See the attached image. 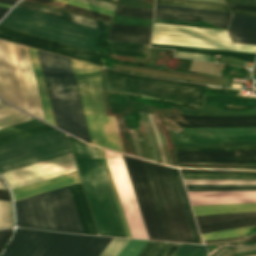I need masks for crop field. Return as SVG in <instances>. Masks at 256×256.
<instances>
[{"label":"crop field","mask_w":256,"mask_h":256,"mask_svg":"<svg viewBox=\"0 0 256 256\" xmlns=\"http://www.w3.org/2000/svg\"><path fill=\"white\" fill-rule=\"evenodd\" d=\"M69 140L100 235L126 237L98 149Z\"/></svg>","instance_id":"crop-field-1"},{"label":"crop field","mask_w":256,"mask_h":256,"mask_svg":"<svg viewBox=\"0 0 256 256\" xmlns=\"http://www.w3.org/2000/svg\"><path fill=\"white\" fill-rule=\"evenodd\" d=\"M38 52L57 126L90 142L69 59Z\"/></svg>","instance_id":"crop-field-2"},{"label":"crop field","mask_w":256,"mask_h":256,"mask_svg":"<svg viewBox=\"0 0 256 256\" xmlns=\"http://www.w3.org/2000/svg\"><path fill=\"white\" fill-rule=\"evenodd\" d=\"M152 41L256 53V46L232 43L227 30L222 29L196 28L154 23ZM155 42H151V46L172 48L181 52L210 56H214L215 54H224L252 63L254 62L256 55L252 53Z\"/></svg>","instance_id":"crop-field-3"},{"label":"crop field","mask_w":256,"mask_h":256,"mask_svg":"<svg viewBox=\"0 0 256 256\" xmlns=\"http://www.w3.org/2000/svg\"><path fill=\"white\" fill-rule=\"evenodd\" d=\"M111 239L17 228L3 256H99Z\"/></svg>","instance_id":"crop-field-4"},{"label":"crop field","mask_w":256,"mask_h":256,"mask_svg":"<svg viewBox=\"0 0 256 256\" xmlns=\"http://www.w3.org/2000/svg\"><path fill=\"white\" fill-rule=\"evenodd\" d=\"M15 205L18 226L84 233L68 186Z\"/></svg>","instance_id":"crop-field-5"},{"label":"crop field","mask_w":256,"mask_h":256,"mask_svg":"<svg viewBox=\"0 0 256 256\" xmlns=\"http://www.w3.org/2000/svg\"><path fill=\"white\" fill-rule=\"evenodd\" d=\"M71 64L91 142L123 151L115 117L105 116L99 67L75 60Z\"/></svg>","instance_id":"crop-field-6"},{"label":"crop field","mask_w":256,"mask_h":256,"mask_svg":"<svg viewBox=\"0 0 256 256\" xmlns=\"http://www.w3.org/2000/svg\"><path fill=\"white\" fill-rule=\"evenodd\" d=\"M0 26L97 52V36L106 31L15 7Z\"/></svg>","instance_id":"crop-field-7"},{"label":"crop field","mask_w":256,"mask_h":256,"mask_svg":"<svg viewBox=\"0 0 256 256\" xmlns=\"http://www.w3.org/2000/svg\"><path fill=\"white\" fill-rule=\"evenodd\" d=\"M107 92L128 94L172 103L203 106L206 86L187 82L140 77L106 68Z\"/></svg>","instance_id":"crop-field-8"},{"label":"crop field","mask_w":256,"mask_h":256,"mask_svg":"<svg viewBox=\"0 0 256 256\" xmlns=\"http://www.w3.org/2000/svg\"><path fill=\"white\" fill-rule=\"evenodd\" d=\"M143 164L167 240L195 243L172 169L147 161Z\"/></svg>","instance_id":"crop-field-9"},{"label":"crop field","mask_w":256,"mask_h":256,"mask_svg":"<svg viewBox=\"0 0 256 256\" xmlns=\"http://www.w3.org/2000/svg\"><path fill=\"white\" fill-rule=\"evenodd\" d=\"M70 152L65 134L57 130L6 144L0 146V173Z\"/></svg>","instance_id":"crop-field-10"},{"label":"crop field","mask_w":256,"mask_h":256,"mask_svg":"<svg viewBox=\"0 0 256 256\" xmlns=\"http://www.w3.org/2000/svg\"><path fill=\"white\" fill-rule=\"evenodd\" d=\"M123 156V155H122ZM150 239L167 241L142 161L123 156Z\"/></svg>","instance_id":"crop-field-11"},{"label":"crop field","mask_w":256,"mask_h":256,"mask_svg":"<svg viewBox=\"0 0 256 256\" xmlns=\"http://www.w3.org/2000/svg\"><path fill=\"white\" fill-rule=\"evenodd\" d=\"M105 154L129 226L131 236L135 238L149 239L122 156L117 153H112L108 151H105Z\"/></svg>","instance_id":"crop-field-12"},{"label":"crop field","mask_w":256,"mask_h":256,"mask_svg":"<svg viewBox=\"0 0 256 256\" xmlns=\"http://www.w3.org/2000/svg\"><path fill=\"white\" fill-rule=\"evenodd\" d=\"M76 170L72 154L70 153L2 173L1 175L10 188L13 189Z\"/></svg>","instance_id":"crop-field-13"},{"label":"crop field","mask_w":256,"mask_h":256,"mask_svg":"<svg viewBox=\"0 0 256 256\" xmlns=\"http://www.w3.org/2000/svg\"><path fill=\"white\" fill-rule=\"evenodd\" d=\"M9 48L26 111L44 120L27 48L9 43ZM45 121V120H44Z\"/></svg>","instance_id":"crop-field-14"},{"label":"crop field","mask_w":256,"mask_h":256,"mask_svg":"<svg viewBox=\"0 0 256 256\" xmlns=\"http://www.w3.org/2000/svg\"><path fill=\"white\" fill-rule=\"evenodd\" d=\"M0 38L103 66L97 53L0 27ZM104 67V66H103Z\"/></svg>","instance_id":"crop-field-15"},{"label":"crop field","mask_w":256,"mask_h":256,"mask_svg":"<svg viewBox=\"0 0 256 256\" xmlns=\"http://www.w3.org/2000/svg\"><path fill=\"white\" fill-rule=\"evenodd\" d=\"M167 127H249L256 126V116L210 117L163 114Z\"/></svg>","instance_id":"crop-field-16"},{"label":"crop field","mask_w":256,"mask_h":256,"mask_svg":"<svg viewBox=\"0 0 256 256\" xmlns=\"http://www.w3.org/2000/svg\"><path fill=\"white\" fill-rule=\"evenodd\" d=\"M0 96L7 102L23 108L8 44L0 40Z\"/></svg>","instance_id":"crop-field-17"},{"label":"crop field","mask_w":256,"mask_h":256,"mask_svg":"<svg viewBox=\"0 0 256 256\" xmlns=\"http://www.w3.org/2000/svg\"><path fill=\"white\" fill-rule=\"evenodd\" d=\"M195 218L201 233L256 224V212Z\"/></svg>","instance_id":"crop-field-18"},{"label":"crop field","mask_w":256,"mask_h":256,"mask_svg":"<svg viewBox=\"0 0 256 256\" xmlns=\"http://www.w3.org/2000/svg\"><path fill=\"white\" fill-rule=\"evenodd\" d=\"M177 161H199V162H256V158L235 159L223 158L222 156H256V150L246 151H216V150H203V151H183L176 152Z\"/></svg>","instance_id":"crop-field-19"},{"label":"crop field","mask_w":256,"mask_h":256,"mask_svg":"<svg viewBox=\"0 0 256 256\" xmlns=\"http://www.w3.org/2000/svg\"><path fill=\"white\" fill-rule=\"evenodd\" d=\"M187 193L192 205L256 202V191Z\"/></svg>","instance_id":"crop-field-20"},{"label":"crop field","mask_w":256,"mask_h":256,"mask_svg":"<svg viewBox=\"0 0 256 256\" xmlns=\"http://www.w3.org/2000/svg\"><path fill=\"white\" fill-rule=\"evenodd\" d=\"M78 181H80V179L78 172L76 171L55 178H51L45 181L13 189L12 192L15 200H17Z\"/></svg>","instance_id":"crop-field-21"},{"label":"crop field","mask_w":256,"mask_h":256,"mask_svg":"<svg viewBox=\"0 0 256 256\" xmlns=\"http://www.w3.org/2000/svg\"><path fill=\"white\" fill-rule=\"evenodd\" d=\"M54 128L34 119L0 130V145L40 134Z\"/></svg>","instance_id":"crop-field-22"},{"label":"crop field","mask_w":256,"mask_h":256,"mask_svg":"<svg viewBox=\"0 0 256 256\" xmlns=\"http://www.w3.org/2000/svg\"><path fill=\"white\" fill-rule=\"evenodd\" d=\"M17 7L25 8V9H28V10L36 11V12H39V13L47 14V15H50V16L58 17V18H62V19H65V20L73 21V22H76V23L84 24V25H87V26L95 27V28H98V29L106 30V31H107L108 26H109L108 23L93 20V19H90V18L75 15V14H72V13H68V12H65V11L50 8V7H47V6H43V5H40V4L25 1V0H23L21 3H19L17 5Z\"/></svg>","instance_id":"crop-field-23"},{"label":"crop field","mask_w":256,"mask_h":256,"mask_svg":"<svg viewBox=\"0 0 256 256\" xmlns=\"http://www.w3.org/2000/svg\"><path fill=\"white\" fill-rule=\"evenodd\" d=\"M28 52H29L45 120L53 125H56L50 100H49V96H48V92H47V88H46V84H45V80H44V76H43V72H42V68H41V64H40V60H39V56H38V52L36 49H32V48H28Z\"/></svg>","instance_id":"crop-field-24"},{"label":"crop field","mask_w":256,"mask_h":256,"mask_svg":"<svg viewBox=\"0 0 256 256\" xmlns=\"http://www.w3.org/2000/svg\"><path fill=\"white\" fill-rule=\"evenodd\" d=\"M151 28L111 24L112 41L149 44Z\"/></svg>","instance_id":"crop-field-25"},{"label":"crop field","mask_w":256,"mask_h":256,"mask_svg":"<svg viewBox=\"0 0 256 256\" xmlns=\"http://www.w3.org/2000/svg\"><path fill=\"white\" fill-rule=\"evenodd\" d=\"M70 190L85 233L98 235L81 183L70 185Z\"/></svg>","instance_id":"crop-field-26"},{"label":"crop field","mask_w":256,"mask_h":256,"mask_svg":"<svg viewBox=\"0 0 256 256\" xmlns=\"http://www.w3.org/2000/svg\"><path fill=\"white\" fill-rule=\"evenodd\" d=\"M155 16H174V17L202 19L215 26L224 27V28L227 27L228 20L230 17L226 15H216V14L197 13V12L178 11V10L159 9V8H155L154 17ZM183 20H190V19H183ZM192 21H196V20H192Z\"/></svg>","instance_id":"crop-field-27"},{"label":"crop field","mask_w":256,"mask_h":256,"mask_svg":"<svg viewBox=\"0 0 256 256\" xmlns=\"http://www.w3.org/2000/svg\"><path fill=\"white\" fill-rule=\"evenodd\" d=\"M192 207H193L195 216L256 211V203L204 205V206H192Z\"/></svg>","instance_id":"crop-field-28"},{"label":"crop field","mask_w":256,"mask_h":256,"mask_svg":"<svg viewBox=\"0 0 256 256\" xmlns=\"http://www.w3.org/2000/svg\"><path fill=\"white\" fill-rule=\"evenodd\" d=\"M168 130H209V131H174L173 133H215V134H176V136H198V135H211V136H222V135H242V134H256V127L249 128H174Z\"/></svg>","instance_id":"crop-field-29"},{"label":"crop field","mask_w":256,"mask_h":256,"mask_svg":"<svg viewBox=\"0 0 256 256\" xmlns=\"http://www.w3.org/2000/svg\"><path fill=\"white\" fill-rule=\"evenodd\" d=\"M149 45L108 41L109 53L146 57Z\"/></svg>","instance_id":"crop-field-30"},{"label":"crop field","mask_w":256,"mask_h":256,"mask_svg":"<svg viewBox=\"0 0 256 256\" xmlns=\"http://www.w3.org/2000/svg\"><path fill=\"white\" fill-rule=\"evenodd\" d=\"M183 179H256L251 173L181 172Z\"/></svg>","instance_id":"crop-field-31"},{"label":"crop field","mask_w":256,"mask_h":256,"mask_svg":"<svg viewBox=\"0 0 256 256\" xmlns=\"http://www.w3.org/2000/svg\"><path fill=\"white\" fill-rule=\"evenodd\" d=\"M30 119L33 118L8 105L2 104L0 101V128L7 127Z\"/></svg>","instance_id":"crop-field-32"},{"label":"crop field","mask_w":256,"mask_h":256,"mask_svg":"<svg viewBox=\"0 0 256 256\" xmlns=\"http://www.w3.org/2000/svg\"><path fill=\"white\" fill-rule=\"evenodd\" d=\"M187 191L256 190V185H185Z\"/></svg>","instance_id":"crop-field-33"},{"label":"crop field","mask_w":256,"mask_h":256,"mask_svg":"<svg viewBox=\"0 0 256 256\" xmlns=\"http://www.w3.org/2000/svg\"><path fill=\"white\" fill-rule=\"evenodd\" d=\"M174 143L179 142H222L231 140H252L256 135L224 136V137H179L172 138Z\"/></svg>","instance_id":"crop-field-34"},{"label":"crop field","mask_w":256,"mask_h":256,"mask_svg":"<svg viewBox=\"0 0 256 256\" xmlns=\"http://www.w3.org/2000/svg\"><path fill=\"white\" fill-rule=\"evenodd\" d=\"M228 30L234 42L256 44V29L229 27Z\"/></svg>","instance_id":"crop-field-35"},{"label":"crop field","mask_w":256,"mask_h":256,"mask_svg":"<svg viewBox=\"0 0 256 256\" xmlns=\"http://www.w3.org/2000/svg\"><path fill=\"white\" fill-rule=\"evenodd\" d=\"M255 227H256V225L255 226H250V227H245V228H239V229L204 233V234H201V235H202L204 240L230 238V237H236V236H242V235L248 234Z\"/></svg>","instance_id":"crop-field-36"},{"label":"crop field","mask_w":256,"mask_h":256,"mask_svg":"<svg viewBox=\"0 0 256 256\" xmlns=\"http://www.w3.org/2000/svg\"><path fill=\"white\" fill-rule=\"evenodd\" d=\"M172 169H173V172H174V175H175V179H176V182H177L180 194H181V198H182V201H183L186 213H187V217H188V220H189L192 232H193V236H194L195 242L196 243H202V241H201V239H200V237H199V235L197 233V230H196V227H195L196 223L194 224L195 220L193 221V217H192V214H191V211H190V208H189V205H188V202H187L184 190H183L184 186L182 187V183H181L178 171H177V169H174V168H172Z\"/></svg>","instance_id":"crop-field-37"},{"label":"crop field","mask_w":256,"mask_h":256,"mask_svg":"<svg viewBox=\"0 0 256 256\" xmlns=\"http://www.w3.org/2000/svg\"><path fill=\"white\" fill-rule=\"evenodd\" d=\"M114 14L152 19L153 9L135 8L118 5Z\"/></svg>","instance_id":"crop-field-38"},{"label":"crop field","mask_w":256,"mask_h":256,"mask_svg":"<svg viewBox=\"0 0 256 256\" xmlns=\"http://www.w3.org/2000/svg\"><path fill=\"white\" fill-rule=\"evenodd\" d=\"M99 152H100V155H101V158H102V161H103V165H104V168H105V171H106V174H107V177H108V180H109L112 192H113V196H114V199H115V202H116V205H117V208H118L121 220H122V224H123L126 236L127 237H131L130 233H129V230H128V227H127V224H126V221H125V218H124V215H123V212H122V209H121V206H120V203H119V200H118V197H117V194H116V190H115V187H114V184H113V181H112V178H111V175H110V172H109V169H108V166H107V163H106V160H105V157H104L102 149H99Z\"/></svg>","instance_id":"crop-field-39"},{"label":"crop field","mask_w":256,"mask_h":256,"mask_svg":"<svg viewBox=\"0 0 256 256\" xmlns=\"http://www.w3.org/2000/svg\"><path fill=\"white\" fill-rule=\"evenodd\" d=\"M172 256H206L204 246L181 244Z\"/></svg>","instance_id":"crop-field-40"},{"label":"crop field","mask_w":256,"mask_h":256,"mask_svg":"<svg viewBox=\"0 0 256 256\" xmlns=\"http://www.w3.org/2000/svg\"><path fill=\"white\" fill-rule=\"evenodd\" d=\"M35 1L50 4V5H53V6L61 7V8H64V9L72 10V11H75V12L83 13V14H86V15L98 17V18H101V19L109 20V21L112 18L111 16H107V15L92 12V11H89V10L81 9V8H78V7L66 5V4L55 2V1H52V0H35Z\"/></svg>","instance_id":"crop-field-41"},{"label":"crop field","mask_w":256,"mask_h":256,"mask_svg":"<svg viewBox=\"0 0 256 256\" xmlns=\"http://www.w3.org/2000/svg\"><path fill=\"white\" fill-rule=\"evenodd\" d=\"M147 242L145 240L130 239L117 256H137Z\"/></svg>","instance_id":"crop-field-42"},{"label":"crop field","mask_w":256,"mask_h":256,"mask_svg":"<svg viewBox=\"0 0 256 256\" xmlns=\"http://www.w3.org/2000/svg\"><path fill=\"white\" fill-rule=\"evenodd\" d=\"M13 225L11 202L0 201V229Z\"/></svg>","instance_id":"crop-field-43"},{"label":"crop field","mask_w":256,"mask_h":256,"mask_svg":"<svg viewBox=\"0 0 256 256\" xmlns=\"http://www.w3.org/2000/svg\"><path fill=\"white\" fill-rule=\"evenodd\" d=\"M229 26L256 28V17L233 14Z\"/></svg>","instance_id":"crop-field-44"},{"label":"crop field","mask_w":256,"mask_h":256,"mask_svg":"<svg viewBox=\"0 0 256 256\" xmlns=\"http://www.w3.org/2000/svg\"><path fill=\"white\" fill-rule=\"evenodd\" d=\"M129 239L113 238L100 256H116Z\"/></svg>","instance_id":"crop-field-45"},{"label":"crop field","mask_w":256,"mask_h":256,"mask_svg":"<svg viewBox=\"0 0 256 256\" xmlns=\"http://www.w3.org/2000/svg\"><path fill=\"white\" fill-rule=\"evenodd\" d=\"M156 3L181 5V6H191V7H200V8H209V9L229 11L227 6H221V5H211V4H201V3H191V2H181V1H171V0H157Z\"/></svg>","instance_id":"crop-field-46"},{"label":"crop field","mask_w":256,"mask_h":256,"mask_svg":"<svg viewBox=\"0 0 256 256\" xmlns=\"http://www.w3.org/2000/svg\"><path fill=\"white\" fill-rule=\"evenodd\" d=\"M185 184H256V180H183Z\"/></svg>","instance_id":"crop-field-47"},{"label":"crop field","mask_w":256,"mask_h":256,"mask_svg":"<svg viewBox=\"0 0 256 256\" xmlns=\"http://www.w3.org/2000/svg\"><path fill=\"white\" fill-rule=\"evenodd\" d=\"M112 22L148 26V27H151V24H152V20H149V19L118 16V15H114Z\"/></svg>","instance_id":"crop-field-48"},{"label":"crop field","mask_w":256,"mask_h":256,"mask_svg":"<svg viewBox=\"0 0 256 256\" xmlns=\"http://www.w3.org/2000/svg\"><path fill=\"white\" fill-rule=\"evenodd\" d=\"M192 63L201 64V65H208V66H214V67H217V65H218V64H215V63L202 62V61H196V60H193ZM195 64H192L191 66L198 67V68H203V69L214 70V71H219V72L222 71V69H220V68L207 67V66H201V65H195ZM193 67L190 68L191 71H195V72H199V73H204V74L217 75V76H220V74H221L219 72L203 70V69H198V68H193Z\"/></svg>","instance_id":"crop-field-49"},{"label":"crop field","mask_w":256,"mask_h":256,"mask_svg":"<svg viewBox=\"0 0 256 256\" xmlns=\"http://www.w3.org/2000/svg\"><path fill=\"white\" fill-rule=\"evenodd\" d=\"M58 1L65 2V3H68V4H72V5H76V6H79V7H83V8H86V9H90V10L97 11V12L104 13V14L111 15V16L113 15V12H114L113 10L101 8V7H98V6L90 5V4L75 1V0H58Z\"/></svg>","instance_id":"crop-field-50"},{"label":"crop field","mask_w":256,"mask_h":256,"mask_svg":"<svg viewBox=\"0 0 256 256\" xmlns=\"http://www.w3.org/2000/svg\"><path fill=\"white\" fill-rule=\"evenodd\" d=\"M155 7L169 8V9H178V10H188V11H197V12H207V13H216V14H226V15H230L231 14V12H226V11H217V10L190 8V7H180V6H170V5H160V4H156Z\"/></svg>","instance_id":"crop-field-51"},{"label":"crop field","mask_w":256,"mask_h":256,"mask_svg":"<svg viewBox=\"0 0 256 256\" xmlns=\"http://www.w3.org/2000/svg\"><path fill=\"white\" fill-rule=\"evenodd\" d=\"M163 243L164 242L149 241L138 256H154L155 253L159 250V248L163 245Z\"/></svg>","instance_id":"crop-field-52"},{"label":"crop field","mask_w":256,"mask_h":256,"mask_svg":"<svg viewBox=\"0 0 256 256\" xmlns=\"http://www.w3.org/2000/svg\"><path fill=\"white\" fill-rule=\"evenodd\" d=\"M147 114H148V117H149V120H150V123H151L152 129H153V132H154V135H155L156 141H157V143H158V147H159V151H160V155H161L162 161H163L164 163H166V160H165V153H164L163 145H162V142H161V139H160V136H159L158 130H157V128H156V125H155L154 119H153V117H152V114H151V113H147Z\"/></svg>","instance_id":"crop-field-53"},{"label":"crop field","mask_w":256,"mask_h":256,"mask_svg":"<svg viewBox=\"0 0 256 256\" xmlns=\"http://www.w3.org/2000/svg\"><path fill=\"white\" fill-rule=\"evenodd\" d=\"M203 149H217V150H246V149H256V145L241 146V147H232V148L187 147V148H178V149H175V151H182V150H203Z\"/></svg>","instance_id":"crop-field-54"},{"label":"crop field","mask_w":256,"mask_h":256,"mask_svg":"<svg viewBox=\"0 0 256 256\" xmlns=\"http://www.w3.org/2000/svg\"><path fill=\"white\" fill-rule=\"evenodd\" d=\"M177 243L165 242L161 249L157 252L155 256H170L174 250L178 247Z\"/></svg>","instance_id":"crop-field-55"},{"label":"crop field","mask_w":256,"mask_h":256,"mask_svg":"<svg viewBox=\"0 0 256 256\" xmlns=\"http://www.w3.org/2000/svg\"><path fill=\"white\" fill-rule=\"evenodd\" d=\"M175 56L195 58V59H201V60H207V61H212L214 58L210 56H203V55L189 54V53H179V52H175Z\"/></svg>","instance_id":"crop-field-56"},{"label":"crop field","mask_w":256,"mask_h":256,"mask_svg":"<svg viewBox=\"0 0 256 256\" xmlns=\"http://www.w3.org/2000/svg\"><path fill=\"white\" fill-rule=\"evenodd\" d=\"M140 114H141V113H140ZM142 114H143V117H144V120H145L147 129H148V133H149V136H150V139H151V143H152V147H153L155 159L158 160V159H157V155H156V151H155V147H154V142H153L152 134H151V132H150V130H149V127H148V124H147V120H146L145 114H144V113H142ZM142 114H141V118H142L143 125H144L145 131H146V134H147V137H148V140H149V136H148V133H147V129H146V126H145V123H144ZM149 144H150V140H149ZM150 148H151V144H150ZM151 151H152V148H151ZM152 154H153V152H152ZM153 159H154V156H153ZM155 159H154V160H155Z\"/></svg>","instance_id":"crop-field-57"},{"label":"crop field","mask_w":256,"mask_h":256,"mask_svg":"<svg viewBox=\"0 0 256 256\" xmlns=\"http://www.w3.org/2000/svg\"><path fill=\"white\" fill-rule=\"evenodd\" d=\"M154 22H160V23H177V24H185V25H195V26H202L198 23H192V22H184V21H176V20H168V19H159L154 18Z\"/></svg>","instance_id":"crop-field-58"},{"label":"crop field","mask_w":256,"mask_h":256,"mask_svg":"<svg viewBox=\"0 0 256 256\" xmlns=\"http://www.w3.org/2000/svg\"><path fill=\"white\" fill-rule=\"evenodd\" d=\"M11 232H12V229L0 231V250L2 249L4 243L7 241V239L9 238Z\"/></svg>","instance_id":"crop-field-59"},{"label":"crop field","mask_w":256,"mask_h":256,"mask_svg":"<svg viewBox=\"0 0 256 256\" xmlns=\"http://www.w3.org/2000/svg\"><path fill=\"white\" fill-rule=\"evenodd\" d=\"M227 5L229 6V8L256 11V6L230 4V3H227Z\"/></svg>","instance_id":"crop-field-60"},{"label":"crop field","mask_w":256,"mask_h":256,"mask_svg":"<svg viewBox=\"0 0 256 256\" xmlns=\"http://www.w3.org/2000/svg\"><path fill=\"white\" fill-rule=\"evenodd\" d=\"M79 1L87 2V3H90V4L102 6V7L113 9V10L115 8L114 5H110V4L103 3V2H100V1H96V0H79Z\"/></svg>","instance_id":"crop-field-61"},{"label":"crop field","mask_w":256,"mask_h":256,"mask_svg":"<svg viewBox=\"0 0 256 256\" xmlns=\"http://www.w3.org/2000/svg\"><path fill=\"white\" fill-rule=\"evenodd\" d=\"M232 13H237V14H246V15H254L256 16V12H252V11H243V10H234L231 9Z\"/></svg>","instance_id":"crop-field-62"},{"label":"crop field","mask_w":256,"mask_h":256,"mask_svg":"<svg viewBox=\"0 0 256 256\" xmlns=\"http://www.w3.org/2000/svg\"><path fill=\"white\" fill-rule=\"evenodd\" d=\"M180 171L248 172V171H222V170H187V169H180ZM252 173H256V172H252Z\"/></svg>","instance_id":"crop-field-63"},{"label":"crop field","mask_w":256,"mask_h":256,"mask_svg":"<svg viewBox=\"0 0 256 256\" xmlns=\"http://www.w3.org/2000/svg\"><path fill=\"white\" fill-rule=\"evenodd\" d=\"M255 249H256V246L242 247V248L236 249L234 253H237V252H244V251H250V250H255Z\"/></svg>","instance_id":"crop-field-64"},{"label":"crop field","mask_w":256,"mask_h":256,"mask_svg":"<svg viewBox=\"0 0 256 256\" xmlns=\"http://www.w3.org/2000/svg\"><path fill=\"white\" fill-rule=\"evenodd\" d=\"M178 166H185V165H178ZM187 167L256 168V167H226V166H187Z\"/></svg>","instance_id":"crop-field-65"},{"label":"crop field","mask_w":256,"mask_h":256,"mask_svg":"<svg viewBox=\"0 0 256 256\" xmlns=\"http://www.w3.org/2000/svg\"><path fill=\"white\" fill-rule=\"evenodd\" d=\"M0 199L9 200L8 194L6 190L0 189Z\"/></svg>","instance_id":"crop-field-66"},{"label":"crop field","mask_w":256,"mask_h":256,"mask_svg":"<svg viewBox=\"0 0 256 256\" xmlns=\"http://www.w3.org/2000/svg\"><path fill=\"white\" fill-rule=\"evenodd\" d=\"M255 240H256V234H254V235H252V236H250L248 238H245L243 240H240L238 242L255 241Z\"/></svg>","instance_id":"crop-field-67"},{"label":"crop field","mask_w":256,"mask_h":256,"mask_svg":"<svg viewBox=\"0 0 256 256\" xmlns=\"http://www.w3.org/2000/svg\"><path fill=\"white\" fill-rule=\"evenodd\" d=\"M193 1H202V2H212V3L224 4L223 0H193Z\"/></svg>","instance_id":"crop-field-68"},{"label":"crop field","mask_w":256,"mask_h":256,"mask_svg":"<svg viewBox=\"0 0 256 256\" xmlns=\"http://www.w3.org/2000/svg\"><path fill=\"white\" fill-rule=\"evenodd\" d=\"M17 0H0V3L13 5Z\"/></svg>","instance_id":"crop-field-69"},{"label":"crop field","mask_w":256,"mask_h":256,"mask_svg":"<svg viewBox=\"0 0 256 256\" xmlns=\"http://www.w3.org/2000/svg\"><path fill=\"white\" fill-rule=\"evenodd\" d=\"M8 8L0 7V18L8 11Z\"/></svg>","instance_id":"crop-field-70"},{"label":"crop field","mask_w":256,"mask_h":256,"mask_svg":"<svg viewBox=\"0 0 256 256\" xmlns=\"http://www.w3.org/2000/svg\"><path fill=\"white\" fill-rule=\"evenodd\" d=\"M242 237H236V238H230V239H222V240L241 239ZM211 241H221V240H211ZM204 242H210V241H204Z\"/></svg>","instance_id":"crop-field-71"},{"label":"crop field","mask_w":256,"mask_h":256,"mask_svg":"<svg viewBox=\"0 0 256 256\" xmlns=\"http://www.w3.org/2000/svg\"><path fill=\"white\" fill-rule=\"evenodd\" d=\"M234 249H230L224 256H230Z\"/></svg>","instance_id":"crop-field-72"},{"label":"crop field","mask_w":256,"mask_h":256,"mask_svg":"<svg viewBox=\"0 0 256 256\" xmlns=\"http://www.w3.org/2000/svg\"><path fill=\"white\" fill-rule=\"evenodd\" d=\"M230 242H234V241H228V242H215V243H206V244H219V243H230Z\"/></svg>","instance_id":"crop-field-73"},{"label":"crop field","mask_w":256,"mask_h":256,"mask_svg":"<svg viewBox=\"0 0 256 256\" xmlns=\"http://www.w3.org/2000/svg\"><path fill=\"white\" fill-rule=\"evenodd\" d=\"M0 6L11 8L10 5L0 4Z\"/></svg>","instance_id":"crop-field-74"},{"label":"crop field","mask_w":256,"mask_h":256,"mask_svg":"<svg viewBox=\"0 0 256 256\" xmlns=\"http://www.w3.org/2000/svg\"><path fill=\"white\" fill-rule=\"evenodd\" d=\"M0 188H3V189H5L1 183H0Z\"/></svg>","instance_id":"crop-field-75"},{"label":"crop field","mask_w":256,"mask_h":256,"mask_svg":"<svg viewBox=\"0 0 256 256\" xmlns=\"http://www.w3.org/2000/svg\"><path fill=\"white\" fill-rule=\"evenodd\" d=\"M224 164H235V163H224Z\"/></svg>","instance_id":"crop-field-76"},{"label":"crop field","mask_w":256,"mask_h":256,"mask_svg":"<svg viewBox=\"0 0 256 256\" xmlns=\"http://www.w3.org/2000/svg\"><path fill=\"white\" fill-rule=\"evenodd\" d=\"M117 1V0H116Z\"/></svg>","instance_id":"crop-field-77"}]
</instances>
